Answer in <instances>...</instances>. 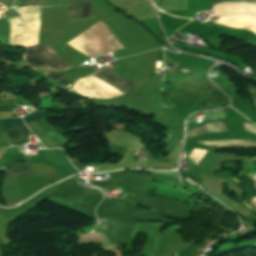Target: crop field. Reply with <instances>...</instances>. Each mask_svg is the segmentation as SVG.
<instances>
[{
  "mask_svg": "<svg viewBox=\"0 0 256 256\" xmlns=\"http://www.w3.org/2000/svg\"><path fill=\"white\" fill-rule=\"evenodd\" d=\"M28 165L33 172L49 182L60 178L57 172L52 167L44 166L38 163H28Z\"/></svg>",
  "mask_w": 256,
  "mask_h": 256,
  "instance_id": "5",
  "label": "crop field"
},
{
  "mask_svg": "<svg viewBox=\"0 0 256 256\" xmlns=\"http://www.w3.org/2000/svg\"><path fill=\"white\" fill-rule=\"evenodd\" d=\"M6 133L10 139L11 145L22 144L29 141V130L25 125L8 130Z\"/></svg>",
  "mask_w": 256,
  "mask_h": 256,
  "instance_id": "6",
  "label": "crop field"
},
{
  "mask_svg": "<svg viewBox=\"0 0 256 256\" xmlns=\"http://www.w3.org/2000/svg\"><path fill=\"white\" fill-rule=\"evenodd\" d=\"M213 4L216 5L217 3L221 2V1H225V0H212Z\"/></svg>",
  "mask_w": 256,
  "mask_h": 256,
  "instance_id": "17",
  "label": "crop field"
},
{
  "mask_svg": "<svg viewBox=\"0 0 256 256\" xmlns=\"http://www.w3.org/2000/svg\"><path fill=\"white\" fill-rule=\"evenodd\" d=\"M44 74L66 89L72 84V83L68 82L67 80L63 79L62 77H60L55 72H48V73H44Z\"/></svg>",
  "mask_w": 256,
  "mask_h": 256,
  "instance_id": "10",
  "label": "crop field"
},
{
  "mask_svg": "<svg viewBox=\"0 0 256 256\" xmlns=\"http://www.w3.org/2000/svg\"><path fill=\"white\" fill-rule=\"evenodd\" d=\"M28 127L40 139V141L46 148L60 147L54 141H52L47 135H45L34 122L28 124Z\"/></svg>",
  "mask_w": 256,
  "mask_h": 256,
  "instance_id": "9",
  "label": "crop field"
},
{
  "mask_svg": "<svg viewBox=\"0 0 256 256\" xmlns=\"http://www.w3.org/2000/svg\"><path fill=\"white\" fill-rule=\"evenodd\" d=\"M70 18L92 16L90 0H82L68 4Z\"/></svg>",
  "mask_w": 256,
  "mask_h": 256,
  "instance_id": "3",
  "label": "crop field"
},
{
  "mask_svg": "<svg viewBox=\"0 0 256 256\" xmlns=\"http://www.w3.org/2000/svg\"><path fill=\"white\" fill-rule=\"evenodd\" d=\"M5 129H12L14 127H17L19 125H22V122L19 120V118L15 119H6V120H1Z\"/></svg>",
  "mask_w": 256,
  "mask_h": 256,
  "instance_id": "11",
  "label": "crop field"
},
{
  "mask_svg": "<svg viewBox=\"0 0 256 256\" xmlns=\"http://www.w3.org/2000/svg\"><path fill=\"white\" fill-rule=\"evenodd\" d=\"M5 167L9 171L8 173H6L5 179L34 176V174L27 169L26 163L7 164L5 165Z\"/></svg>",
  "mask_w": 256,
  "mask_h": 256,
  "instance_id": "4",
  "label": "crop field"
},
{
  "mask_svg": "<svg viewBox=\"0 0 256 256\" xmlns=\"http://www.w3.org/2000/svg\"><path fill=\"white\" fill-rule=\"evenodd\" d=\"M219 131H228L227 127L224 123L215 122V123H208L206 125H203L199 128L189 130L188 135L190 137L208 133V132H219Z\"/></svg>",
  "mask_w": 256,
  "mask_h": 256,
  "instance_id": "8",
  "label": "crop field"
},
{
  "mask_svg": "<svg viewBox=\"0 0 256 256\" xmlns=\"http://www.w3.org/2000/svg\"><path fill=\"white\" fill-rule=\"evenodd\" d=\"M92 75L123 94L135 86V83L128 81L126 79H123L118 75H116L109 68V66L101 68L100 70H98Z\"/></svg>",
  "mask_w": 256,
  "mask_h": 256,
  "instance_id": "2",
  "label": "crop field"
},
{
  "mask_svg": "<svg viewBox=\"0 0 256 256\" xmlns=\"http://www.w3.org/2000/svg\"><path fill=\"white\" fill-rule=\"evenodd\" d=\"M17 17H18V16H17ZM18 19H19V17H18ZM19 21L22 22L20 19H19Z\"/></svg>",
  "mask_w": 256,
  "mask_h": 256,
  "instance_id": "19",
  "label": "crop field"
},
{
  "mask_svg": "<svg viewBox=\"0 0 256 256\" xmlns=\"http://www.w3.org/2000/svg\"><path fill=\"white\" fill-rule=\"evenodd\" d=\"M249 92V95L251 97V99L253 100L255 106H256V92L255 91H251V90H248Z\"/></svg>",
  "mask_w": 256,
  "mask_h": 256,
  "instance_id": "16",
  "label": "crop field"
},
{
  "mask_svg": "<svg viewBox=\"0 0 256 256\" xmlns=\"http://www.w3.org/2000/svg\"><path fill=\"white\" fill-rule=\"evenodd\" d=\"M44 114H46V113H44L43 111H39V112L29 116V117L24 118V120H25V122L27 124V123H29L31 121H35V120L39 119Z\"/></svg>",
  "mask_w": 256,
  "mask_h": 256,
  "instance_id": "13",
  "label": "crop field"
},
{
  "mask_svg": "<svg viewBox=\"0 0 256 256\" xmlns=\"http://www.w3.org/2000/svg\"><path fill=\"white\" fill-rule=\"evenodd\" d=\"M246 84H247V83H246ZM247 86H248L249 88L256 89V86H254V85L247 84Z\"/></svg>",
  "mask_w": 256,
  "mask_h": 256,
  "instance_id": "18",
  "label": "crop field"
},
{
  "mask_svg": "<svg viewBox=\"0 0 256 256\" xmlns=\"http://www.w3.org/2000/svg\"><path fill=\"white\" fill-rule=\"evenodd\" d=\"M244 127L246 130L256 133V127L254 125L244 123Z\"/></svg>",
  "mask_w": 256,
  "mask_h": 256,
  "instance_id": "15",
  "label": "crop field"
},
{
  "mask_svg": "<svg viewBox=\"0 0 256 256\" xmlns=\"http://www.w3.org/2000/svg\"><path fill=\"white\" fill-rule=\"evenodd\" d=\"M46 0H27L22 6H40Z\"/></svg>",
  "mask_w": 256,
  "mask_h": 256,
  "instance_id": "14",
  "label": "crop field"
},
{
  "mask_svg": "<svg viewBox=\"0 0 256 256\" xmlns=\"http://www.w3.org/2000/svg\"><path fill=\"white\" fill-rule=\"evenodd\" d=\"M199 143L217 145V147H256V141L250 140L205 141Z\"/></svg>",
  "mask_w": 256,
  "mask_h": 256,
  "instance_id": "7",
  "label": "crop field"
},
{
  "mask_svg": "<svg viewBox=\"0 0 256 256\" xmlns=\"http://www.w3.org/2000/svg\"><path fill=\"white\" fill-rule=\"evenodd\" d=\"M13 109H16V107H0V118L16 117L13 113Z\"/></svg>",
  "mask_w": 256,
  "mask_h": 256,
  "instance_id": "12",
  "label": "crop field"
},
{
  "mask_svg": "<svg viewBox=\"0 0 256 256\" xmlns=\"http://www.w3.org/2000/svg\"><path fill=\"white\" fill-rule=\"evenodd\" d=\"M25 49L26 52L22 55V61L24 65L33 69L67 70L72 68L58 57L49 45H40Z\"/></svg>",
  "mask_w": 256,
  "mask_h": 256,
  "instance_id": "1",
  "label": "crop field"
}]
</instances>
